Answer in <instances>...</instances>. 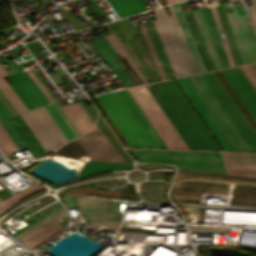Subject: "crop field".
I'll list each match as a JSON object with an SVG mask.
<instances>
[{"instance_id":"crop-field-43","label":"crop field","mask_w":256,"mask_h":256,"mask_svg":"<svg viewBox=\"0 0 256 256\" xmlns=\"http://www.w3.org/2000/svg\"><path fill=\"white\" fill-rule=\"evenodd\" d=\"M31 73L35 76V78L38 80V82L42 85V87L45 89V91L49 94V96L52 98L53 101H56V97L53 95V93L48 89V87L43 83V81L40 79V77L35 73L33 69H30Z\"/></svg>"},{"instance_id":"crop-field-36","label":"crop field","mask_w":256,"mask_h":256,"mask_svg":"<svg viewBox=\"0 0 256 256\" xmlns=\"http://www.w3.org/2000/svg\"><path fill=\"white\" fill-rule=\"evenodd\" d=\"M191 233L197 232H221L227 233L228 228L226 227H210V226H189Z\"/></svg>"},{"instance_id":"crop-field-2","label":"crop field","mask_w":256,"mask_h":256,"mask_svg":"<svg viewBox=\"0 0 256 256\" xmlns=\"http://www.w3.org/2000/svg\"><path fill=\"white\" fill-rule=\"evenodd\" d=\"M173 82L169 80L146 87L189 149L220 151Z\"/></svg>"},{"instance_id":"crop-field-35","label":"crop field","mask_w":256,"mask_h":256,"mask_svg":"<svg viewBox=\"0 0 256 256\" xmlns=\"http://www.w3.org/2000/svg\"><path fill=\"white\" fill-rule=\"evenodd\" d=\"M229 175L256 176V168L226 167Z\"/></svg>"},{"instance_id":"crop-field-21","label":"crop field","mask_w":256,"mask_h":256,"mask_svg":"<svg viewBox=\"0 0 256 256\" xmlns=\"http://www.w3.org/2000/svg\"><path fill=\"white\" fill-rule=\"evenodd\" d=\"M223 68L229 67L209 8L202 9Z\"/></svg>"},{"instance_id":"crop-field-4","label":"crop field","mask_w":256,"mask_h":256,"mask_svg":"<svg viewBox=\"0 0 256 256\" xmlns=\"http://www.w3.org/2000/svg\"><path fill=\"white\" fill-rule=\"evenodd\" d=\"M172 15L167 16L164 8L153 10L157 19L153 20L163 47L176 77L199 73L173 6H168Z\"/></svg>"},{"instance_id":"crop-field-49","label":"crop field","mask_w":256,"mask_h":256,"mask_svg":"<svg viewBox=\"0 0 256 256\" xmlns=\"http://www.w3.org/2000/svg\"><path fill=\"white\" fill-rule=\"evenodd\" d=\"M251 3H252V5H253V7H254V9L256 11V0H251Z\"/></svg>"},{"instance_id":"crop-field-7","label":"crop field","mask_w":256,"mask_h":256,"mask_svg":"<svg viewBox=\"0 0 256 256\" xmlns=\"http://www.w3.org/2000/svg\"><path fill=\"white\" fill-rule=\"evenodd\" d=\"M128 91L131 93L168 148L188 149L145 85L129 88Z\"/></svg>"},{"instance_id":"crop-field-40","label":"crop field","mask_w":256,"mask_h":256,"mask_svg":"<svg viewBox=\"0 0 256 256\" xmlns=\"http://www.w3.org/2000/svg\"><path fill=\"white\" fill-rule=\"evenodd\" d=\"M88 223L100 230H116V228L119 225V223H103V222H88Z\"/></svg>"},{"instance_id":"crop-field-33","label":"crop field","mask_w":256,"mask_h":256,"mask_svg":"<svg viewBox=\"0 0 256 256\" xmlns=\"http://www.w3.org/2000/svg\"><path fill=\"white\" fill-rule=\"evenodd\" d=\"M207 71L211 70L187 12L183 13ZM201 60V61H202Z\"/></svg>"},{"instance_id":"crop-field-9","label":"crop field","mask_w":256,"mask_h":256,"mask_svg":"<svg viewBox=\"0 0 256 256\" xmlns=\"http://www.w3.org/2000/svg\"><path fill=\"white\" fill-rule=\"evenodd\" d=\"M76 139L93 161L125 163L98 126Z\"/></svg>"},{"instance_id":"crop-field-17","label":"crop field","mask_w":256,"mask_h":256,"mask_svg":"<svg viewBox=\"0 0 256 256\" xmlns=\"http://www.w3.org/2000/svg\"><path fill=\"white\" fill-rule=\"evenodd\" d=\"M65 215L67 214L65 213L61 215L60 217L56 218L52 222L48 223L47 225L43 226L42 228L38 229L37 231L33 232L32 234L20 241H22L32 250L35 249L36 247L47 241L49 238L60 232L62 229H64L55 222L64 217Z\"/></svg>"},{"instance_id":"crop-field-12","label":"crop field","mask_w":256,"mask_h":256,"mask_svg":"<svg viewBox=\"0 0 256 256\" xmlns=\"http://www.w3.org/2000/svg\"><path fill=\"white\" fill-rule=\"evenodd\" d=\"M7 77L12 84L11 87L17 93L28 110L49 103L48 99L26 71Z\"/></svg>"},{"instance_id":"crop-field-41","label":"crop field","mask_w":256,"mask_h":256,"mask_svg":"<svg viewBox=\"0 0 256 256\" xmlns=\"http://www.w3.org/2000/svg\"><path fill=\"white\" fill-rule=\"evenodd\" d=\"M240 69L243 71L245 76L248 78V80L250 81V83L253 85V87L256 90V77L253 74V72L251 71V69L248 67V65L240 66Z\"/></svg>"},{"instance_id":"crop-field-32","label":"crop field","mask_w":256,"mask_h":256,"mask_svg":"<svg viewBox=\"0 0 256 256\" xmlns=\"http://www.w3.org/2000/svg\"><path fill=\"white\" fill-rule=\"evenodd\" d=\"M192 12H193L194 17H195V19H196V22H197V24H198V26H199V29H200V31H201V34H202V36H203V39H204V41H205V44H206L207 49H208V51H209V54H210V56H211V58H212V61H213V63H214V66H215L216 69H219V68H218V65H217V62H216V59H215V57H214V54H213V51H212V48H211L209 39H208V37H207V34H206V31H205V28H204L202 19H201V17H200L199 11H198V10H195V11H192Z\"/></svg>"},{"instance_id":"crop-field-44","label":"crop field","mask_w":256,"mask_h":256,"mask_svg":"<svg viewBox=\"0 0 256 256\" xmlns=\"http://www.w3.org/2000/svg\"><path fill=\"white\" fill-rule=\"evenodd\" d=\"M8 116H11L10 112L4 106V104L0 101V119H4Z\"/></svg>"},{"instance_id":"crop-field-50","label":"crop field","mask_w":256,"mask_h":256,"mask_svg":"<svg viewBox=\"0 0 256 256\" xmlns=\"http://www.w3.org/2000/svg\"><path fill=\"white\" fill-rule=\"evenodd\" d=\"M167 2V4L178 1V0H165Z\"/></svg>"},{"instance_id":"crop-field-3","label":"crop field","mask_w":256,"mask_h":256,"mask_svg":"<svg viewBox=\"0 0 256 256\" xmlns=\"http://www.w3.org/2000/svg\"><path fill=\"white\" fill-rule=\"evenodd\" d=\"M175 81L223 151L250 152L198 75L176 78Z\"/></svg>"},{"instance_id":"crop-field-45","label":"crop field","mask_w":256,"mask_h":256,"mask_svg":"<svg viewBox=\"0 0 256 256\" xmlns=\"http://www.w3.org/2000/svg\"><path fill=\"white\" fill-rule=\"evenodd\" d=\"M233 7H234L235 12H236V14H237L238 16L246 14V12H245V10H244L242 4L235 5V6H233Z\"/></svg>"},{"instance_id":"crop-field-6","label":"crop field","mask_w":256,"mask_h":256,"mask_svg":"<svg viewBox=\"0 0 256 256\" xmlns=\"http://www.w3.org/2000/svg\"><path fill=\"white\" fill-rule=\"evenodd\" d=\"M131 147L156 148L117 91L97 96Z\"/></svg>"},{"instance_id":"crop-field-14","label":"crop field","mask_w":256,"mask_h":256,"mask_svg":"<svg viewBox=\"0 0 256 256\" xmlns=\"http://www.w3.org/2000/svg\"><path fill=\"white\" fill-rule=\"evenodd\" d=\"M229 186L220 184L179 183L174 188V197L181 202L198 203L201 192L228 194Z\"/></svg>"},{"instance_id":"crop-field-28","label":"crop field","mask_w":256,"mask_h":256,"mask_svg":"<svg viewBox=\"0 0 256 256\" xmlns=\"http://www.w3.org/2000/svg\"><path fill=\"white\" fill-rule=\"evenodd\" d=\"M137 27L139 29V32H140V34L142 36V39H143V41H144V43H145V45H146V47H147V49L149 51V54H150V56H151V58H152V60H153V62L155 64V67H156V69H157L161 79L162 80L166 79L165 76H164V73L162 71V68L160 66L159 60L157 58V55L155 53V50L153 48V45L151 43V40L149 38V35H148V32L146 30L145 25L142 24V25H138Z\"/></svg>"},{"instance_id":"crop-field-48","label":"crop field","mask_w":256,"mask_h":256,"mask_svg":"<svg viewBox=\"0 0 256 256\" xmlns=\"http://www.w3.org/2000/svg\"><path fill=\"white\" fill-rule=\"evenodd\" d=\"M248 9H249L250 15H251V17H252V19H253V21H254V23L256 25V13H255V11H254L252 6L248 7Z\"/></svg>"},{"instance_id":"crop-field-20","label":"crop field","mask_w":256,"mask_h":256,"mask_svg":"<svg viewBox=\"0 0 256 256\" xmlns=\"http://www.w3.org/2000/svg\"><path fill=\"white\" fill-rule=\"evenodd\" d=\"M119 17L146 10L141 0H113L108 2Z\"/></svg>"},{"instance_id":"crop-field-26","label":"crop field","mask_w":256,"mask_h":256,"mask_svg":"<svg viewBox=\"0 0 256 256\" xmlns=\"http://www.w3.org/2000/svg\"><path fill=\"white\" fill-rule=\"evenodd\" d=\"M106 40L111 44V46L115 49V51L120 55L121 58L125 57L126 60L129 62V64L132 66L134 71L137 73V75L140 77V79L143 81V83H147L143 75L140 73L132 59L129 57L121 43L118 41L114 33L105 36ZM124 58V59H125Z\"/></svg>"},{"instance_id":"crop-field-34","label":"crop field","mask_w":256,"mask_h":256,"mask_svg":"<svg viewBox=\"0 0 256 256\" xmlns=\"http://www.w3.org/2000/svg\"><path fill=\"white\" fill-rule=\"evenodd\" d=\"M219 7H220V10H221V13H222V16H223V19H224V22H225V25H226V28H227V31H228L230 40H231V43H232V46H233V49H234V52H235V55H236L238 64L241 65V64H243V63H242L240 54H239V52H238V49H237V46H236V43H235V40H234L232 31H231V28H230V26H229V23H228L226 14H225L224 7H223V6H219Z\"/></svg>"},{"instance_id":"crop-field-11","label":"crop field","mask_w":256,"mask_h":256,"mask_svg":"<svg viewBox=\"0 0 256 256\" xmlns=\"http://www.w3.org/2000/svg\"><path fill=\"white\" fill-rule=\"evenodd\" d=\"M227 16L235 36L243 63L256 61V42L245 16L236 18L233 11Z\"/></svg>"},{"instance_id":"crop-field-22","label":"crop field","mask_w":256,"mask_h":256,"mask_svg":"<svg viewBox=\"0 0 256 256\" xmlns=\"http://www.w3.org/2000/svg\"><path fill=\"white\" fill-rule=\"evenodd\" d=\"M4 75H7V73L0 65V89L8 98V100L11 102V104L14 106V108L17 110L18 113L27 111L26 107L23 105V103L20 101V99L17 97V95L14 93V91L11 89V87L2 77Z\"/></svg>"},{"instance_id":"crop-field-29","label":"crop field","mask_w":256,"mask_h":256,"mask_svg":"<svg viewBox=\"0 0 256 256\" xmlns=\"http://www.w3.org/2000/svg\"><path fill=\"white\" fill-rule=\"evenodd\" d=\"M225 162L256 163V154L222 153Z\"/></svg>"},{"instance_id":"crop-field-37","label":"crop field","mask_w":256,"mask_h":256,"mask_svg":"<svg viewBox=\"0 0 256 256\" xmlns=\"http://www.w3.org/2000/svg\"><path fill=\"white\" fill-rule=\"evenodd\" d=\"M70 193L73 194H98V195H104V196H110V197H117V190L112 192H103L93 189H77V190H70Z\"/></svg>"},{"instance_id":"crop-field-10","label":"crop field","mask_w":256,"mask_h":256,"mask_svg":"<svg viewBox=\"0 0 256 256\" xmlns=\"http://www.w3.org/2000/svg\"><path fill=\"white\" fill-rule=\"evenodd\" d=\"M0 123L19 150L27 148L33 158L46 154L19 115L2 120Z\"/></svg>"},{"instance_id":"crop-field-31","label":"crop field","mask_w":256,"mask_h":256,"mask_svg":"<svg viewBox=\"0 0 256 256\" xmlns=\"http://www.w3.org/2000/svg\"><path fill=\"white\" fill-rule=\"evenodd\" d=\"M63 213H65V211H64V208L62 207L58 211L54 212L50 216L46 217L45 219L41 220L37 224L33 225L32 227L28 228L27 230L23 231L22 233H20L19 235L15 236V237L20 240V239L24 238L25 236L29 235L30 233H32L33 231L37 230L38 228L42 227L43 225L47 224L51 220L60 216Z\"/></svg>"},{"instance_id":"crop-field-38","label":"crop field","mask_w":256,"mask_h":256,"mask_svg":"<svg viewBox=\"0 0 256 256\" xmlns=\"http://www.w3.org/2000/svg\"><path fill=\"white\" fill-rule=\"evenodd\" d=\"M188 13H189L190 18H191V20H192V23H193V25H194V27H195V30H196V32H197V35H198V37H199V40H200V42H201V45H202L203 50H204V52H205V55H206V57H207V59H208V62H209V64H210V67H211L212 70H214L215 68H214L213 63H212V61H211V58H210V56H209V54H208V51H207V49H206V46H205V44H204V41H203V39H202V36H201L200 31H199V29H198V26H197V24H196V22H195V19H194V17H193V14H192L191 11H189Z\"/></svg>"},{"instance_id":"crop-field-30","label":"crop field","mask_w":256,"mask_h":256,"mask_svg":"<svg viewBox=\"0 0 256 256\" xmlns=\"http://www.w3.org/2000/svg\"><path fill=\"white\" fill-rule=\"evenodd\" d=\"M1 124V123H0ZM0 149L4 155L18 151V148L12 142L5 130L0 125Z\"/></svg>"},{"instance_id":"crop-field-16","label":"crop field","mask_w":256,"mask_h":256,"mask_svg":"<svg viewBox=\"0 0 256 256\" xmlns=\"http://www.w3.org/2000/svg\"><path fill=\"white\" fill-rule=\"evenodd\" d=\"M118 93L121 95L125 103L128 105L130 110L133 112L135 117L138 119L142 127L145 129L147 134L150 136L157 148H167L160 136L157 134L153 126L150 124L146 116L143 114L139 106L136 104L132 96L129 94L127 89L119 90Z\"/></svg>"},{"instance_id":"crop-field-42","label":"crop field","mask_w":256,"mask_h":256,"mask_svg":"<svg viewBox=\"0 0 256 256\" xmlns=\"http://www.w3.org/2000/svg\"><path fill=\"white\" fill-rule=\"evenodd\" d=\"M60 207H62L61 205L56 207L55 209L51 210L50 212L46 213L45 215L41 216L40 218L36 219L35 221L31 222L30 224L26 225L25 227L21 228L20 230L16 231L15 233L11 234L13 236L19 234L20 232H22L23 230L27 229L28 227L32 226L33 224H35L36 222L40 221L41 219L45 218L46 216L50 215L51 213H53L54 211L58 210Z\"/></svg>"},{"instance_id":"crop-field-39","label":"crop field","mask_w":256,"mask_h":256,"mask_svg":"<svg viewBox=\"0 0 256 256\" xmlns=\"http://www.w3.org/2000/svg\"><path fill=\"white\" fill-rule=\"evenodd\" d=\"M54 105L56 106V108L58 109V111L61 113V115L63 116V118L65 119V121L67 122V124L69 125V127L72 129V131L74 132V134L77 136L81 135L80 132L77 130V128L75 127V125L72 123V121L70 120V118L67 116V114L65 113V111L62 109V107L60 106L59 102H55Z\"/></svg>"},{"instance_id":"crop-field-13","label":"crop field","mask_w":256,"mask_h":256,"mask_svg":"<svg viewBox=\"0 0 256 256\" xmlns=\"http://www.w3.org/2000/svg\"><path fill=\"white\" fill-rule=\"evenodd\" d=\"M74 201L86 221L120 222L121 213L109 212L111 201L79 196Z\"/></svg>"},{"instance_id":"crop-field-1","label":"crop field","mask_w":256,"mask_h":256,"mask_svg":"<svg viewBox=\"0 0 256 256\" xmlns=\"http://www.w3.org/2000/svg\"><path fill=\"white\" fill-rule=\"evenodd\" d=\"M220 73L245 107L253 121L256 123V91L242 71L239 67H236L221 70ZM199 77L204 82L251 152H256V130H251L213 72L200 74Z\"/></svg>"},{"instance_id":"crop-field-5","label":"crop field","mask_w":256,"mask_h":256,"mask_svg":"<svg viewBox=\"0 0 256 256\" xmlns=\"http://www.w3.org/2000/svg\"><path fill=\"white\" fill-rule=\"evenodd\" d=\"M128 150L140 162L174 163L179 169L226 171L220 153Z\"/></svg>"},{"instance_id":"crop-field-27","label":"crop field","mask_w":256,"mask_h":256,"mask_svg":"<svg viewBox=\"0 0 256 256\" xmlns=\"http://www.w3.org/2000/svg\"><path fill=\"white\" fill-rule=\"evenodd\" d=\"M45 109L48 111V113L53 118V120L58 125L60 130L63 132L65 137L68 139V141L76 138L75 135L73 134V132L71 131V129L68 127V125L62 118V116L60 115V113L57 111V109L53 105V103L45 106Z\"/></svg>"},{"instance_id":"crop-field-8","label":"crop field","mask_w":256,"mask_h":256,"mask_svg":"<svg viewBox=\"0 0 256 256\" xmlns=\"http://www.w3.org/2000/svg\"><path fill=\"white\" fill-rule=\"evenodd\" d=\"M21 117L47 153L68 142L44 107L21 114Z\"/></svg>"},{"instance_id":"crop-field-18","label":"crop field","mask_w":256,"mask_h":256,"mask_svg":"<svg viewBox=\"0 0 256 256\" xmlns=\"http://www.w3.org/2000/svg\"><path fill=\"white\" fill-rule=\"evenodd\" d=\"M68 116L71 118L73 123L76 125L81 134L93 129L94 124L88 117L84 109L81 107L79 102L72 103L71 105L63 106Z\"/></svg>"},{"instance_id":"crop-field-19","label":"crop field","mask_w":256,"mask_h":256,"mask_svg":"<svg viewBox=\"0 0 256 256\" xmlns=\"http://www.w3.org/2000/svg\"><path fill=\"white\" fill-rule=\"evenodd\" d=\"M145 25H146L149 35L151 37L152 43L154 45V48L156 50V53L158 55L161 65H162V68H163L166 78L167 79L174 78L175 76H174L171 66L169 64V61L165 54V51L162 47V44L160 42V39L158 37V34L156 32L153 22L152 21L148 22Z\"/></svg>"},{"instance_id":"crop-field-15","label":"crop field","mask_w":256,"mask_h":256,"mask_svg":"<svg viewBox=\"0 0 256 256\" xmlns=\"http://www.w3.org/2000/svg\"><path fill=\"white\" fill-rule=\"evenodd\" d=\"M90 42L98 51V53L102 56V58L106 61L109 67L113 70V72L117 75V77L120 79V81L124 84L125 87L139 84L135 78L130 79L128 75L125 73V71L123 70L125 68L115 56L117 55L116 52L112 49V47L105 40L104 37L90 40Z\"/></svg>"},{"instance_id":"crop-field-23","label":"crop field","mask_w":256,"mask_h":256,"mask_svg":"<svg viewBox=\"0 0 256 256\" xmlns=\"http://www.w3.org/2000/svg\"><path fill=\"white\" fill-rule=\"evenodd\" d=\"M173 6H174V9H175V11H176V14H177V16H178V18H179V21H180V23H181V25H182V28H183V30H184V33H185V35H186V37H187V40H188L189 45H190V47H191V50H192V52H193V54H194V57H195V59H196V62H197V64H198V66H199V69H200L201 72H204V71H206V70H205L204 65H203V63H202V61H201V58H200V56H199V53H198V51H197V48H196V46H195V43H194V41H193V38H192L191 33H190V31H189V28H188V26H187V24H186V21H185V19H184V16H183V14L181 13V11H180L179 6H178L177 3L174 4ZM198 66H197V67H198ZM200 71H199V72H200Z\"/></svg>"},{"instance_id":"crop-field-24","label":"crop field","mask_w":256,"mask_h":256,"mask_svg":"<svg viewBox=\"0 0 256 256\" xmlns=\"http://www.w3.org/2000/svg\"><path fill=\"white\" fill-rule=\"evenodd\" d=\"M44 188L43 186H41L38 183H33L31 185H29L28 187L24 188L23 190L15 193L13 196L9 197L6 200H2L0 199V212H2L4 209H6L8 206H10L12 203L40 190Z\"/></svg>"},{"instance_id":"crop-field-46","label":"crop field","mask_w":256,"mask_h":256,"mask_svg":"<svg viewBox=\"0 0 256 256\" xmlns=\"http://www.w3.org/2000/svg\"><path fill=\"white\" fill-rule=\"evenodd\" d=\"M226 166L256 167V164L225 163Z\"/></svg>"},{"instance_id":"crop-field-47","label":"crop field","mask_w":256,"mask_h":256,"mask_svg":"<svg viewBox=\"0 0 256 256\" xmlns=\"http://www.w3.org/2000/svg\"><path fill=\"white\" fill-rule=\"evenodd\" d=\"M28 74L31 76V78L35 81V83L39 86V88L42 90V92L46 95V97L49 99L50 102H52L51 98L48 96V94L44 91V89L40 86V84L37 82V80L33 77V75L30 73L29 70H27Z\"/></svg>"},{"instance_id":"crop-field-25","label":"crop field","mask_w":256,"mask_h":256,"mask_svg":"<svg viewBox=\"0 0 256 256\" xmlns=\"http://www.w3.org/2000/svg\"><path fill=\"white\" fill-rule=\"evenodd\" d=\"M130 167H132V165L87 161L79 178L89 175L91 173H94L96 171L104 170V169H119V168H130Z\"/></svg>"}]
</instances>
